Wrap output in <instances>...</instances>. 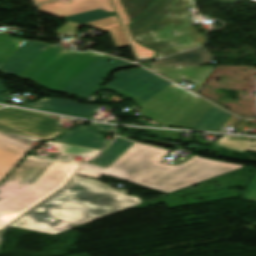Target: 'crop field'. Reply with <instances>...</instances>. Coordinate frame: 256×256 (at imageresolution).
Returning <instances> with one entry per match:
<instances>
[{
  "instance_id": "obj_23",
  "label": "crop field",
  "mask_w": 256,
  "mask_h": 256,
  "mask_svg": "<svg viewBox=\"0 0 256 256\" xmlns=\"http://www.w3.org/2000/svg\"><path fill=\"white\" fill-rule=\"evenodd\" d=\"M89 126L94 127L96 130L100 131V132H109L112 128V126L110 125H102V124H95V123H90L88 124Z\"/></svg>"
},
{
  "instance_id": "obj_15",
  "label": "crop field",
  "mask_w": 256,
  "mask_h": 256,
  "mask_svg": "<svg viewBox=\"0 0 256 256\" xmlns=\"http://www.w3.org/2000/svg\"><path fill=\"white\" fill-rule=\"evenodd\" d=\"M132 144H134V142L118 137L109 148L100 154L94 161L88 163L106 167Z\"/></svg>"
},
{
  "instance_id": "obj_13",
  "label": "crop field",
  "mask_w": 256,
  "mask_h": 256,
  "mask_svg": "<svg viewBox=\"0 0 256 256\" xmlns=\"http://www.w3.org/2000/svg\"><path fill=\"white\" fill-rule=\"evenodd\" d=\"M214 60L208 52L207 48L202 47L190 51L183 52L181 54L164 58L161 60L150 62L146 65H189L200 66Z\"/></svg>"
},
{
  "instance_id": "obj_3",
  "label": "crop field",
  "mask_w": 256,
  "mask_h": 256,
  "mask_svg": "<svg viewBox=\"0 0 256 256\" xmlns=\"http://www.w3.org/2000/svg\"><path fill=\"white\" fill-rule=\"evenodd\" d=\"M169 152L135 143L106 168L88 163L82 168L169 193L243 167L197 156L177 166L160 164Z\"/></svg>"
},
{
  "instance_id": "obj_19",
  "label": "crop field",
  "mask_w": 256,
  "mask_h": 256,
  "mask_svg": "<svg viewBox=\"0 0 256 256\" xmlns=\"http://www.w3.org/2000/svg\"><path fill=\"white\" fill-rule=\"evenodd\" d=\"M47 144L56 146L57 149L60 151V153H65V154L94 157L98 152H100L99 150H93V149L61 144V143H56L51 141L47 142Z\"/></svg>"
},
{
  "instance_id": "obj_10",
  "label": "crop field",
  "mask_w": 256,
  "mask_h": 256,
  "mask_svg": "<svg viewBox=\"0 0 256 256\" xmlns=\"http://www.w3.org/2000/svg\"><path fill=\"white\" fill-rule=\"evenodd\" d=\"M156 73L178 83L182 80L193 82L190 89L196 93L207 79L214 67H188V66H145Z\"/></svg>"
},
{
  "instance_id": "obj_26",
  "label": "crop field",
  "mask_w": 256,
  "mask_h": 256,
  "mask_svg": "<svg viewBox=\"0 0 256 256\" xmlns=\"http://www.w3.org/2000/svg\"><path fill=\"white\" fill-rule=\"evenodd\" d=\"M101 137H102V135H101V134H99V135H98V138H97V140H96V141H98V142H102V143H106V144H109L108 142H105V141L100 140V139H101Z\"/></svg>"
},
{
  "instance_id": "obj_5",
  "label": "crop field",
  "mask_w": 256,
  "mask_h": 256,
  "mask_svg": "<svg viewBox=\"0 0 256 256\" xmlns=\"http://www.w3.org/2000/svg\"><path fill=\"white\" fill-rule=\"evenodd\" d=\"M99 181L75 176L70 184L12 226L31 230L47 225L57 216L96 219L141 203Z\"/></svg>"
},
{
  "instance_id": "obj_16",
  "label": "crop field",
  "mask_w": 256,
  "mask_h": 256,
  "mask_svg": "<svg viewBox=\"0 0 256 256\" xmlns=\"http://www.w3.org/2000/svg\"><path fill=\"white\" fill-rule=\"evenodd\" d=\"M88 221L91 220L58 217L47 226H38L33 230L54 235L56 233L62 232L64 230H67L69 228L75 227Z\"/></svg>"
},
{
  "instance_id": "obj_27",
  "label": "crop field",
  "mask_w": 256,
  "mask_h": 256,
  "mask_svg": "<svg viewBox=\"0 0 256 256\" xmlns=\"http://www.w3.org/2000/svg\"><path fill=\"white\" fill-rule=\"evenodd\" d=\"M115 130H116V133H124V132H120L121 130H119V129H115ZM128 132L132 133V127H129V131Z\"/></svg>"
},
{
  "instance_id": "obj_6",
  "label": "crop field",
  "mask_w": 256,
  "mask_h": 256,
  "mask_svg": "<svg viewBox=\"0 0 256 256\" xmlns=\"http://www.w3.org/2000/svg\"><path fill=\"white\" fill-rule=\"evenodd\" d=\"M192 0H156L130 27L138 42L157 50L164 57L203 44L185 10Z\"/></svg>"
},
{
  "instance_id": "obj_18",
  "label": "crop field",
  "mask_w": 256,
  "mask_h": 256,
  "mask_svg": "<svg viewBox=\"0 0 256 256\" xmlns=\"http://www.w3.org/2000/svg\"><path fill=\"white\" fill-rule=\"evenodd\" d=\"M24 41L25 39L0 35V58L7 59Z\"/></svg>"
},
{
  "instance_id": "obj_8",
  "label": "crop field",
  "mask_w": 256,
  "mask_h": 256,
  "mask_svg": "<svg viewBox=\"0 0 256 256\" xmlns=\"http://www.w3.org/2000/svg\"><path fill=\"white\" fill-rule=\"evenodd\" d=\"M49 117L7 108L0 111V131L50 140L68 130L61 128L58 120Z\"/></svg>"
},
{
  "instance_id": "obj_1",
  "label": "crop field",
  "mask_w": 256,
  "mask_h": 256,
  "mask_svg": "<svg viewBox=\"0 0 256 256\" xmlns=\"http://www.w3.org/2000/svg\"><path fill=\"white\" fill-rule=\"evenodd\" d=\"M109 58L112 57L93 51L77 52L27 41L6 60L0 72L33 81L48 90L87 99L101 89L94 85L108 71L133 65L121 60L112 64L107 61Z\"/></svg>"
},
{
  "instance_id": "obj_4",
  "label": "crop field",
  "mask_w": 256,
  "mask_h": 256,
  "mask_svg": "<svg viewBox=\"0 0 256 256\" xmlns=\"http://www.w3.org/2000/svg\"><path fill=\"white\" fill-rule=\"evenodd\" d=\"M81 163L64 154L58 159L28 156L0 184V229L65 185Z\"/></svg>"
},
{
  "instance_id": "obj_7",
  "label": "crop field",
  "mask_w": 256,
  "mask_h": 256,
  "mask_svg": "<svg viewBox=\"0 0 256 256\" xmlns=\"http://www.w3.org/2000/svg\"><path fill=\"white\" fill-rule=\"evenodd\" d=\"M153 0H58L54 2L40 4L41 12L64 17L96 8H101L108 12H117L123 28L132 45L133 52L137 59L151 58L154 51L144 48L132 40L127 24L137 17Z\"/></svg>"
},
{
  "instance_id": "obj_24",
  "label": "crop field",
  "mask_w": 256,
  "mask_h": 256,
  "mask_svg": "<svg viewBox=\"0 0 256 256\" xmlns=\"http://www.w3.org/2000/svg\"><path fill=\"white\" fill-rule=\"evenodd\" d=\"M77 174L86 175L94 178H99L101 176L100 174H97L88 170H83V169H80V171Z\"/></svg>"
},
{
  "instance_id": "obj_25",
  "label": "crop field",
  "mask_w": 256,
  "mask_h": 256,
  "mask_svg": "<svg viewBox=\"0 0 256 256\" xmlns=\"http://www.w3.org/2000/svg\"><path fill=\"white\" fill-rule=\"evenodd\" d=\"M5 90H7V89L5 88V86L3 85V83L0 80V93L5 91ZM7 99H9V98L0 94V102L6 101Z\"/></svg>"
},
{
  "instance_id": "obj_2",
  "label": "crop field",
  "mask_w": 256,
  "mask_h": 256,
  "mask_svg": "<svg viewBox=\"0 0 256 256\" xmlns=\"http://www.w3.org/2000/svg\"><path fill=\"white\" fill-rule=\"evenodd\" d=\"M104 87L132 96L143 115L167 125L217 131L231 116L143 68L118 72Z\"/></svg>"
},
{
  "instance_id": "obj_29",
  "label": "crop field",
  "mask_w": 256,
  "mask_h": 256,
  "mask_svg": "<svg viewBox=\"0 0 256 256\" xmlns=\"http://www.w3.org/2000/svg\"><path fill=\"white\" fill-rule=\"evenodd\" d=\"M119 136H121V137H123V138H126V139L131 138V137H125V135H119Z\"/></svg>"
},
{
  "instance_id": "obj_20",
  "label": "crop field",
  "mask_w": 256,
  "mask_h": 256,
  "mask_svg": "<svg viewBox=\"0 0 256 256\" xmlns=\"http://www.w3.org/2000/svg\"><path fill=\"white\" fill-rule=\"evenodd\" d=\"M137 130L141 131V130H146V129L135 128V132L140 133ZM149 133L160 134V135L165 136L168 139H178L181 132L167 131V130H150Z\"/></svg>"
},
{
  "instance_id": "obj_9",
  "label": "crop field",
  "mask_w": 256,
  "mask_h": 256,
  "mask_svg": "<svg viewBox=\"0 0 256 256\" xmlns=\"http://www.w3.org/2000/svg\"><path fill=\"white\" fill-rule=\"evenodd\" d=\"M66 24L54 31L57 35H73L83 25L110 31L117 48L127 47L129 43L115 15L101 9L65 17Z\"/></svg>"
},
{
  "instance_id": "obj_28",
  "label": "crop field",
  "mask_w": 256,
  "mask_h": 256,
  "mask_svg": "<svg viewBox=\"0 0 256 256\" xmlns=\"http://www.w3.org/2000/svg\"><path fill=\"white\" fill-rule=\"evenodd\" d=\"M34 3H37V2H41V1H45V0H33Z\"/></svg>"
},
{
  "instance_id": "obj_12",
  "label": "crop field",
  "mask_w": 256,
  "mask_h": 256,
  "mask_svg": "<svg viewBox=\"0 0 256 256\" xmlns=\"http://www.w3.org/2000/svg\"><path fill=\"white\" fill-rule=\"evenodd\" d=\"M29 147L0 136V181L23 158Z\"/></svg>"
},
{
  "instance_id": "obj_17",
  "label": "crop field",
  "mask_w": 256,
  "mask_h": 256,
  "mask_svg": "<svg viewBox=\"0 0 256 256\" xmlns=\"http://www.w3.org/2000/svg\"><path fill=\"white\" fill-rule=\"evenodd\" d=\"M217 144L245 152L247 149L256 151V138L240 137V136H223Z\"/></svg>"
},
{
  "instance_id": "obj_21",
  "label": "crop field",
  "mask_w": 256,
  "mask_h": 256,
  "mask_svg": "<svg viewBox=\"0 0 256 256\" xmlns=\"http://www.w3.org/2000/svg\"><path fill=\"white\" fill-rule=\"evenodd\" d=\"M242 199L256 202V176Z\"/></svg>"
},
{
  "instance_id": "obj_14",
  "label": "crop field",
  "mask_w": 256,
  "mask_h": 256,
  "mask_svg": "<svg viewBox=\"0 0 256 256\" xmlns=\"http://www.w3.org/2000/svg\"><path fill=\"white\" fill-rule=\"evenodd\" d=\"M97 135L92 128L80 126L53 141L102 150L107 145L95 142Z\"/></svg>"
},
{
  "instance_id": "obj_22",
  "label": "crop field",
  "mask_w": 256,
  "mask_h": 256,
  "mask_svg": "<svg viewBox=\"0 0 256 256\" xmlns=\"http://www.w3.org/2000/svg\"><path fill=\"white\" fill-rule=\"evenodd\" d=\"M1 134L11 137V138H13L19 142H22L28 146H30L35 141L39 140V139H34V138H28V137H23V136H18V135L7 134V133H1Z\"/></svg>"
},
{
  "instance_id": "obj_11",
  "label": "crop field",
  "mask_w": 256,
  "mask_h": 256,
  "mask_svg": "<svg viewBox=\"0 0 256 256\" xmlns=\"http://www.w3.org/2000/svg\"><path fill=\"white\" fill-rule=\"evenodd\" d=\"M23 107H30L34 109L62 113L67 115L78 116L82 118H87L93 115L96 111L94 105H83L80 103L45 97L36 103L24 104Z\"/></svg>"
}]
</instances>
